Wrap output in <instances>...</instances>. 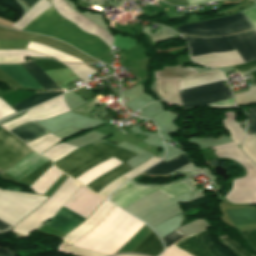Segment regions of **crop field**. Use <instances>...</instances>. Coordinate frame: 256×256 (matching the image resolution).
Instances as JSON below:
<instances>
[{"label": "crop field", "instance_id": "8a807250", "mask_svg": "<svg viewBox=\"0 0 256 256\" xmlns=\"http://www.w3.org/2000/svg\"><path fill=\"white\" fill-rule=\"evenodd\" d=\"M256 31V8L242 11ZM242 12L219 19L205 20L177 28L184 35L218 36L252 29ZM191 56L233 50L234 47L245 63L256 60V34L254 30L223 37H186Z\"/></svg>", "mask_w": 256, "mask_h": 256}, {"label": "crop field", "instance_id": "ac0d7876", "mask_svg": "<svg viewBox=\"0 0 256 256\" xmlns=\"http://www.w3.org/2000/svg\"><path fill=\"white\" fill-rule=\"evenodd\" d=\"M136 155L137 154L131 153L125 149L116 147L105 142H101L82 147L70 154L69 156L55 162L54 165L67 173L69 176L76 179L88 169L112 156L123 161V164L108 171L107 173L103 174L86 186L97 193L103 186L108 184L110 181H112L119 175L131 170V168L125 161Z\"/></svg>", "mask_w": 256, "mask_h": 256}, {"label": "crop field", "instance_id": "34b2d1b8", "mask_svg": "<svg viewBox=\"0 0 256 256\" xmlns=\"http://www.w3.org/2000/svg\"><path fill=\"white\" fill-rule=\"evenodd\" d=\"M145 224L114 209L92 230L76 241L73 246L112 255L116 253Z\"/></svg>", "mask_w": 256, "mask_h": 256}, {"label": "crop field", "instance_id": "412701ff", "mask_svg": "<svg viewBox=\"0 0 256 256\" xmlns=\"http://www.w3.org/2000/svg\"><path fill=\"white\" fill-rule=\"evenodd\" d=\"M23 30L58 38L98 60L110 49L97 37L82 33L72 23L61 18L53 7L36 17Z\"/></svg>", "mask_w": 256, "mask_h": 256}, {"label": "crop field", "instance_id": "f4fd0767", "mask_svg": "<svg viewBox=\"0 0 256 256\" xmlns=\"http://www.w3.org/2000/svg\"><path fill=\"white\" fill-rule=\"evenodd\" d=\"M217 158H228L237 161L245 168L246 176L232 180V184L254 177L256 179V166L242 153L234 142L215 146ZM248 179L233 185L226 196L233 203H256V180Z\"/></svg>", "mask_w": 256, "mask_h": 256}, {"label": "crop field", "instance_id": "dd49c442", "mask_svg": "<svg viewBox=\"0 0 256 256\" xmlns=\"http://www.w3.org/2000/svg\"><path fill=\"white\" fill-rule=\"evenodd\" d=\"M103 199L104 198L92 193L81 185L64 206L86 218L94 211ZM64 206L47 223V225L67 233L83 222L85 218L66 209Z\"/></svg>", "mask_w": 256, "mask_h": 256}, {"label": "crop field", "instance_id": "e52e79f7", "mask_svg": "<svg viewBox=\"0 0 256 256\" xmlns=\"http://www.w3.org/2000/svg\"><path fill=\"white\" fill-rule=\"evenodd\" d=\"M47 197L23 194L0 189V220L15 226L46 200ZM0 221V234L11 230L12 226Z\"/></svg>", "mask_w": 256, "mask_h": 256}, {"label": "crop field", "instance_id": "d8731c3e", "mask_svg": "<svg viewBox=\"0 0 256 256\" xmlns=\"http://www.w3.org/2000/svg\"><path fill=\"white\" fill-rule=\"evenodd\" d=\"M219 239L224 245L231 248L239 256H254L246 251L237 241H231L225 236H221ZM175 244L201 256H224L214 247L205 229L191 234ZM179 246L176 247V245L173 244L171 247L165 249V252H163L160 256H166L167 253L175 247L176 248L174 250L170 251L168 256H198Z\"/></svg>", "mask_w": 256, "mask_h": 256}, {"label": "crop field", "instance_id": "5a996713", "mask_svg": "<svg viewBox=\"0 0 256 256\" xmlns=\"http://www.w3.org/2000/svg\"><path fill=\"white\" fill-rule=\"evenodd\" d=\"M80 185L68 177L40 208L19 222L11 231L28 236L42 222L51 219Z\"/></svg>", "mask_w": 256, "mask_h": 256}, {"label": "crop field", "instance_id": "3316defc", "mask_svg": "<svg viewBox=\"0 0 256 256\" xmlns=\"http://www.w3.org/2000/svg\"><path fill=\"white\" fill-rule=\"evenodd\" d=\"M191 190L183 181L160 186V187H146L134 184L132 181H127L117 190H115L109 197V199L120 206L121 208H126L129 205L135 203L139 199L159 191L171 198L182 194L186 191Z\"/></svg>", "mask_w": 256, "mask_h": 256}, {"label": "crop field", "instance_id": "28ad6ade", "mask_svg": "<svg viewBox=\"0 0 256 256\" xmlns=\"http://www.w3.org/2000/svg\"><path fill=\"white\" fill-rule=\"evenodd\" d=\"M224 80L180 91L185 109L201 104L232 98Z\"/></svg>", "mask_w": 256, "mask_h": 256}, {"label": "crop field", "instance_id": "d1516ede", "mask_svg": "<svg viewBox=\"0 0 256 256\" xmlns=\"http://www.w3.org/2000/svg\"><path fill=\"white\" fill-rule=\"evenodd\" d=\"M66 111H69V108L66 106L62 95L28 110L24 115L1 126L10 131L26 122L50 118Z\"/></svg>", "mask_w": 256, "mask_h": 256}, {"label": "crop field", "instance_id": "22f410ed", "mask_svg": "<svg viewBox=\"0 0 256 256\" xmlns=\"http://www.w3.org/2000/svg\"><path fill=\"white\" fill-rule=\"evenodd\" d=\"M32 150L4 129H0V169H8Z\"/></svg>", "mask_w": 256, "mask_h": 256}, {"label": "crop field", "instance_id": "cbeb9de0", "mask_svg": "<svg viewBox=\"0 0 256 256\" xmlns=\"http://www.w3.org/2000/svg\"><path fill=\"white\" fill-rule=\"evenodd\" d=\"M114 206L115 205H113L108 200H104V202L97 207V209L85 222L78 225L68 234L63 236V242H66L70 245L74 243L79 237L95 227L112 210Z\"/></svg>", "mask_w": 256, "mask_h": 256}, {"label": "crop field", "instance_id": "5142ce71", "mask_svg": "<svg viewBox=\"0 0 256 256\" xmlns=\"http://www.w3.org/2000/svg\"><path fill=\"white\" fill-rule=\"evenodd\" d=\"M47 161H49V159L41 157L34 152H31L5 172L12 175L17 180H20Z\"/></svg>", "mask_w": 256, "mask_h": 256}, {"label": "crop field", "instance_id": "d9b57169", "mask_svg": "<svg viewBox=\"0 0 256 256\" xmlns=\"http://www.w3.org/2000/svg\"><path fill=\"white\" fill-rule=\"evenodd\" d=\"M0 69L8 74L14 81L18 82L26 89H43L32 76L21 66L18 65H0Z\"/></svg>", "mask_w": 256, "mask_h": 256}, {"label": "crop field", "instance_id": "733c2abd", "mask_svg": "<svg viewBox=\"0 0 256 256\" xmlns=\"http://www.w3.org/2000/svg\"><path fill=\"white\" fill-rule=\"evenodd\" d=\"M180 79L181 78L156 80V83L157 91L163 100H168L174 104L182 106L178 92V83Z\"/></svg>", "mask_w": 256, "mask_h": 256}, {"label": "crop field", "instance_id": "4a817a6b", "mask_svg": "<svg viewBox=\"0 0 256 256\" xmlns=\"http://www.w3.org/2000/svg\"><path fill=\"white\" fill-rule=\"evenodd\" d=\"M191 162L186 156L180 154L168 161L163 160L158 165L142 172L144 174L151 175H167L174 171L175 169Z\"/></svg>", "mask_w": 256, "mask_h": 256}, {"label": "crop field", "instance_id": "bc2a9ffb", "mask_svg": "<svg viewBox=\"0 0 256 256\" xmlns=\"http://www.w3.org/2000/svg\"><path fill=\"white\" fill-rule=\"evenodd\" d=\"M121 163H123V162L112 157V158L98 164L97 166L93 167L92 169H90L89 171H87L86 173L81 175L79 178H77L76 180L80 181L82 184H84L86 186L95 178L99 177L100 175H102L103 173L108 171L109 169H111Z\"/></svg>", "mask_w": 256, "mask_h": 256}, {"label": "crop field", "instance_id": "214f88e0", "mask_svg": "<svg viewBox=\"0 0 256 256\" xmlns=\"http://www.w3.org/2000/svg\"><path fill=\"white\" fill-rule=\"evenodd\" d=\"M159 160H161V159L154 158V157L150 158L148 161L139 165L138 167H136L132 171H130V172L116 178L112 182H110L101 191H99L98 194L106 197L110 192H112L114 189H116L122 182L126 181L127 179L131 178L132 176L136 175L140 171H142L145 168L151 166L152 164L156 163Z\"/></svg>", "mask_w": 256, "mask_h": 256}, {"label": "crop field", "instance_id": "92a150f3", "mask_svg": "<svg viewBox=\"0 0 256 256\" xmlns=\"http://www.w3.org/2000/svg\"><path fill=\"white\" fill-rule=\"evenodd\" d=\"M10 132L15 134L18 138L23 140L25 143L48 134L47 133L48 131L46 132L34 122L26 123L22 126L15 128Z\"/></svg>", "mask_w": 256, "mask_h": 256}, {"label": "crop field", "instance_id": "dafd665d", "mask_svg": "<svg viewBox=\"0 0 256 256\" xmlns=\"http://www.w3.org/2000/svg\"><path fill=\"white\" fill-rule=\"evenodd\" d=\"M63 173L57 170L54 166L48 169L40 176L29 188L35 193L43 195L49 186L58 179Z\"/></svg>", "mask_w": 256, "mask_h": 256}, {"label": "crop field", "instance_id": "00972430", "mask_svg": "<svg viewBox=\"0 0 256 256\" xmlns=\"http://www.w3.org/2000/svg\"><path fill=\"white\" fill-rule=\"evenodd\" d=\"M25 57H48L30 50L0 51V63H22Z\"/></svg>", "mask_w": 256, "mask_h": 256}, {"label": "crop field", "instance_id": "a9b5d70f", "mask_svg": "<svg viewBox=\"0 0 256 256\" xmlns=\"http://www.w3.org/2000/svg\"><path fill=\"white\" fill-rule=\"evenodd\" d=\"M162 250L163 246L160 240L152 231L133 252L157 256L162 252Z\"/></svg>", "mask_w": 256, "mask_h": 256}, {"label": "crop field", "instance_id": "4177f3b9", "mask_svg": "<svg viewBox=\"0 0 256 256\" xmlns=\"http://www.w3.org/2000/svg\"><path fill=\"white\" fill-rule=\"evenodd\" d=\"M22 65L44 89H60L33 61Z\"/></svg>", "mask_w": 256, "mask_h": 256}, {"label": "crop field", "instance_id": "730fd06b", "mask_svg": "<svg viewBox=\"0 0 256 256\" xmlns=\"http://www.w3.org/2000/svg\"><path fill=\"white\" fill-rule=\"evenodd\" d=\"M52 7L46 0L39 1L32 9H30L24 16L17 20L13 27L23 29L33 18Z\"/></svg>", "mask_w": 256, "mask_h": 256}, {"label": "crop field", "instance_id": "eef30255", "mask_svg": "<svg viewBox=\"0 0 256 256\" xmlns=\"http://www.w3.org/2000/svg\"><path fill=\"white\" fill-rule=\"evenodd\" d=\"M224 115H225V119L223 120V127L224 129L229 131L230 137L236 143V145H238L241 142L244 136V133L240 129L235 119L234 113L227 112V113H224Z\"/></svg>", "mask_w": 256, "mask_h": 256}, {"label": "crop field", "instance_id": "ae1a2a85", "mask_svg": "<svg viewBox=\"0 0 256 256\" xmlns=\"http://www.w3.org/2000/svg\"><path fill=\"white\" fill-rule=\"evenodd\" d=\"M181 65L177 67H166L164 68V71H155L154 76L155 79H162V78H176V77H188L193 74H197V72L190 68V67H180Z\"/></svg>", "mask_w": 256, "mask_h": 256}, {"label": "crop field", "instance_id": "d3111659", "mask_svg": "<svg viewBox=\"0 0 256 256\" xmlns=\"http://www.w3.org/2000/svg\"><path fill=\"white\" fill-rule=\"evenodd\" d=\"M59 140H61V139H59L51 134H48L42 138H39L35 141L27 143V145L29 147H31L33 150H35L41 154L42 152L49 149L52 145H54Z\"/></svg>", "mask_w": 256, "mask_h": 256}, {"label": "crop field", "instance_id": "750c4746", "mask_svg": "<svg viewBox=\"0 0 256 256\" xmlns=\"http://www.w3.org/2000/svg\"><path fill=\"white\" fill-rule=\"evenodd\" d=\"M78 147H74L68 144H58L56 146H54L53 148L45 151L42 155L47 156L48 158L52 159L53 162L59 160L60 158L66 156L67 154H69L71 151H73L74 149H76ZM51 160V161H52Z\"/></svg>", "mask_w": 256, "mask_h": 256}, {"label": "crop field", "instance_id": "bd1437ed", "mask_svg": "<svg viewBox=\"0 0 256 256\" xmlns=\"http://www.w3.org/2000/svg\"><path fill=\"white\" fill-rule=\"evenodd\" d=\"M45 94H47V93H37V94H34V95L30 96L29 98L25 99L24 101H22L21 103L17 104V105L14 106L13 108H15V107H17V106H19V105H22V104H24V103H26V102H29V101H31V100H33V99H35V98H38V97H40V96H42V95H45ZM59 94H61V93H49V94H47V95H45V96H42V97H40V98H38V99H35V100H33V101L29 102V103H26V104H24V105H22V106H19V107L15 108V110H16L17 112H19V111H21V110H24V109H26V108H29V107H31V106H34V105H36V104H38V103H40V102H42V101L48 100V99H50V98H53V97H55V96H57V95H59Z\"/></svg>", "mask_w": 256, "mask_h": 256}, {"label": "crop field", "instance_id": "1d83c4d3", "mask_svg": "<svg viewBox=\"0 0 256 256\" xmlns=\"http://www.w3.org/2000/svg\"><path fill=\"white\" fill-rule=\"evenodd\" d=\"M242 150L256 164V136H246L242 143Z\"/></svg>", "mask_w": 256, "mask_h": 256}, {"label": "crop field", "instance_id": "120bbe31", "mask_svg": "<svg viewBox=\"0 0 256 256\" xmlns=\"http://www.w3.org/2000/svg\"><path fill=\"white\" fill-rule=\"evenodd\" d=\"M58 250L61 252L75 255V256H106V255H102V254H99L96 252L78 249L76 247L69 246L63 242L60 245Z\"/></svg>", "mask_w": 256, "mask_h": 256}, {"label": "crop field", "instance_id": "d32e631a", "mask_svg": "<svg viewBox=\"0 0 256 256\" xmlns=\"http://www.w3.org/2000/svg\"><path fill=\"white\" fill-rule=\"evenodd\" d=\"M52 165L51 161L44 164L40 168H38L36 171L31 173L30 175L26 176L24 179L21 180V182L27 183L31 185L41 174H43L50 166Z\"/></svg>", "mask_w": 256, "mask_h": 256}, {"label": "crop field", "instance_id": "5866460e", "mask_svg": "<svg viewBox=\"0 0 256 256\" xmlns=\"http://www.w3.org/2000/svg\"><path fill=\"white\" fill-rule=\"evenodd\" d=\"M183 238V236L180 234V232L176 229L170 234L166 235L164 238H162V242L164 244V247L167 248L174 242L178 241L179 239Z\"/></svg>", "mask_w": 256, "mask_h": 256}, {"label": "crop field", "instance_id": "028f5c9d", "mask_svg": "<svg viewBox=\"0 0 256 256\" xmlns=\"http://www.w3.org/2000/svg\"><path fill=\"white\" fill-rule=\"evenodd\" d=\"M243 238L251 245L256 251V230L239 231Z\"/></svg>", "mask_w": 256, "mask_h": 256}, {"label": "crop field", "instance_id": "e1f06a70", "mask_svg": "<svg viewBox=\"0 0 256 256\" xmlns=\"http://www.w3.org/2000/svg\"><path fill=\"white\" fill-rule=\"evenodd\" d=\"M252 113L247 114L248 116V134L256 133V108L250 109Z\"/></svg>", "mask_w": 256, "mask_h": 256}, {"label": "crop field", "instance_id": "0bd39190", "mask_svg": "<svg viewBox=\"0 0 256 256\" xmlns=\"http://www.w3.org/2000/svg\"><path fill=\"white\" fill-rule=\"evenodd\" d=\"M235 72H239V73H245L248 72L250 70H253L256 68V61L251 62V63H247V64H242V65H235L232 66Z\"/></svg>", "mask_w": 256, "mask_h": 256}, {"label": "crop field", "instance_id": "b80d0937", "mask_svg": "<svg viewBox=\"0 0 256 256\" xmlns=\"http://www.w3.org/2000/svg\"><path fill=\"white\" fill-rule=\"evenodd\" d=\"M249 75H251V82H252V85H255L256 84V70L254 71H251L249 73H247ZM233 98H234V103L236 104V99L234 97V94H233Z\"/></svg>", "mask_w": 256, "mask_h": 256}, {"label": "crop field", "instance_id": "c035e120", "mask_svg": "<svg viewBox=\"0 0 256 256\" xmlns=\"http://www.w3.org/2000/svg\"><path fill=\"white\" fill-rule=\"evenodd\" d=\"M0 256H15L11 251L0 249Z\"/></svg>", "mask_w": 256, "mask_h": 256}, {"label": "crop field", "instance_id": "c21b1889", "mask_svg": "<svg viewBox=\"0 0 256 256\" xmlns=\"http://www.w3.org/2000/svg\"><path fill=\"white\" fill-rule=\"evenodd\" d=\"M22 1L25 5H27L29 8L35 4L38 0H20Z\"/></svg>", "mask_w": 256, "mask_h": 256}, {"label": "crop field", "instance_id": "03da06ac", "mask_svg": "<svg viewBox=\"0 0 256 256\" xmlns=\"http://www.w3.org/2000/svg\"><path fill=\"white\" fill-rule=\"evenodd\" d=\"M120 256H137V255H120Z\"/></svg>", "mask_w": 256, "mask_h": 256}]
</instances>
